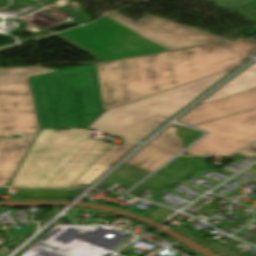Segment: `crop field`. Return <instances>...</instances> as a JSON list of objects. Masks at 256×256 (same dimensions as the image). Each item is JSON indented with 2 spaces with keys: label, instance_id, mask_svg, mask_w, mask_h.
I'll return each mask as SVG.
<instances>
[{
  "label": "crop field",
  "instance_id": "crop-field-1",
  "mask_svg": "<svg viewBox=\"0 0 256 256\" xmlns=\"http://www.w3.org/2000/svg\"><path fill=\"white\" fill-rule=\"evenodd\" d=\"M256 52L243 38L194 49L97 63L104 109L228 70Z\"/></svg>",
  "mask_w": 256,
  "mask_h": 256
},
{
  "label": "crop field",
  "instance_id": "crop-field-2",
  "mask_svg": "<svg viewBox=\"0 0 256 256\" xmlns=\"http://www.w3.org/2000/svg\"><path fill=\"white\" fill-rule=\"evenodd\" d=\"M90 134L41 130L9 186L68 188L111 146L86 139Z\"/></svg>",
  "mask_w": 256,
  "mask_h": 256
},
{
  "label": "crop field",
  "instance_id": "crop-field-3",
  "mask_svg": "<svg viewBox=\"0 0 256 256\" xmlns=\"http://www.w3.org/2000/svg\"><path fill=\"white\" fill-rule=\"evenodd\" d=\"M29 80L40 128L86 127L103 113L96 64Z\"/></svg>",
  "mask_w": 256,
  "mask_h": 256
},
{
  "label": "crop field",
  "instance_id": "crop-field-4",
  "mask_svg": "<svg viewBox=\"0 0 256 256\" xmlns=\"http://www.w3.org/2000/svg\"><path fill=\"white\" fill-rule=\"evenodd\" d=\"M57 70L42 67L0 69V185L7 184L39 129L28 77Z\"/></svg>",
  "mask_w": 256,
  "mask_h": 256
},
{
  "label": "crop field",
  "instance_id": "crop-field-5",
  "mask_svg": "<svg viewBox=\"0 0 256 256\" xmlns=\"http://www.w3.org/2000/svg\"><path fill=\"white\" fill-rule=\"evenodd\" d=\"M233 69L105 112L88 128L139 142Z\"/></svg>",
  "mask_w": 256,
  "mask_h": 256
},
{
  "label": "crop field",
  "instance_id": "crop-field-6",
  "mask_svg": "<svg viewBox=\"0 0 256 256\" xmlns=\"http://www.w3.org/2000/svg\"><path fill=\"white\" fill-rule=\"evenodd\" d=\"M101 61L166 51L108 17L56 34Z\"/></svg>",
  "mask_w": 256,
  "mask_h": 256
},
{
  "label": "crop field",
  "instance_id": "crop-field-7",
  "mask_svg": "<svg viewBox=\"0 0 256 256\" xmlns=\"http://www.w3.org/2000/svg\"><path fill=\"white\" fill-rule=\"evenodd\" d=\"M193 126L208 135L186 150L188 155L228 156L256 141V108Z\"/></svg>",
  "mask_w": 256,
  "mask_h": 256
},
{
  "label": "crop field",
  "instance_id": "crop-field-8",
  "mask_svg": "<svg viewBox=\"0 0 256 256\" xmlns=\"http://www.w3.org/2000/svg\"><path fill=\"white\" fill-rule=\"evenodd\" d=\"M107 16L168 50L229 41L150 14L137 23L117 12Z\"/></svg>",
  "mask_w": 256,
  "mask_h": 256
},
{
  "label": "crop field",
  "instance_id": "crop-field-9",
  "mask_svg": "<svg viewBox=\"0 0 256 256\" xmlns=\"http://www.w3.org/2000/svg\"><path fill=\"white\" fill-rule=\"evenodd\" d=\"M256 107V89L212 103L196 106L178 121L193 125Z\"/></svg>",
  "mask_w": 256,
  "mask_h": 256
},
{
  "label": "crop field",
  "instance_id": "crop-field-10",
  "mask_svg": "<svg viewBox=\"0 0 256 256\" xmlns=\"http://www.w3.org/2000/svg\"><path fill=\"white\" fill-rule=\"evenodd\" d=\"M256 88V62L235 76L199 104L219 100Z\"/></svg>",
  "mask_w": 256,
  "mask_h": 256
},
{
  "label": "crop field",
  "instance_id": "crop-field-11",
  "mask_svg": "<svg viewBox=\"0 0 256 256\" xmlns=\"http://www.w3.org/2000/svg\"><path fill=\"white\" fill-rule=\"evenodd\" d=\"M134 145L136 144L127 142H123L121 146L113 145L110 148L112 151L105 152L103 156L72 187L79 184L89 185L108 168L115 164L122 156H124Z\"/></svg>",
  "mask_w": 256,
  "mask_h": 256
},
{
  "label": "crop field",
  "instance_id": "crop-field-12",
  "mask_svg": "<svg viewBox=\"0 0 256 256\" xmlns=\"http://www.w3.org/2000/svg\"><path fill=\"white\" fill-rule=\"evenodd\" d=\"M172 156L169 153L147 145L126 161V163L152 172Z\"/></svg>",
  "mask_w": 256,
  "mask_h": 256
},
{
  "label": "crop field",
  "instance_id": "crop-field-13",
  "mask_svg": "<svg viewBox=\"0 0 256 256\" xmlns=\"http://www.w3.org/2000/svg\"><path fill=\"white\" fill-rule=\"evenodd\" d=\"M174 230L208 246L209 248L213 249L214 251H216L224 256H243L234 251L232 245L237 243L234 240H232L230 243H228L226 246H224V245L214 242L212 240L206 239V238H204L194 232H191L181 226L175 228Z\"/></svg>",
  "mask_w": 256,
  "mask_h": 256
},
{
  "label": "crop field",
  "instance_id": "crop-field-14",
  "mask_svg": "<svg viewBox=\"0 0 256 256\" xmlns=\"http://www.w3.org/2000/svg\"><path fill=\"white\" fill-rule=\"evenodd\" d=\"M190 170H192V166L189 164L187 157L178 156L155 175L174 181Z\"/></svg>",
  "mask_w": 256,
  "mask_h": 256
},
{
  "label": "crop field",
  "instance_id": "crop-field-15",
  "mask_svg": "<svg viewBox=\"0 0 256 256\" xmlns=\"http://www.w3.org/2000/svg\"><path fill=\"white\" fill-rule=\"evenodd\" d=\"M80 190H25L19 189L18 198H54L71 199Z\"/></svg>",
  "mask_w": 256,
  "mask_h": 256
},
{
  "label": "crop field",
  "instance_id": "crop-field-16",
  "mask_svg": "<svg viewBox=\"0 0 256 256\" xmlns=\"http://www.w3.org/2000/svg\"><path fill=\"white\" fill-rule=\"evenodd\" d=\"M174 133L175 129L172 132H170L165 138H163L159 143H157L156 146L163 148L167 151H170L174 154L183 150L181 147L180 140Z\"/></svg>",
  "mask_w": 256,
  "mask_h": 256
},
{
  "label": "crop field",
  "instance_id": "crop-field-17",
  "mask_svg": "<svg viewBox=\"0 0 256 256\" xmlns=\"http://www.w3.org/2000/svg\"><path fill=\"white\" fill-rule=\"evenodd\" d=\"M233 10L256 25V1ZM252 31L256 33V28Z\"/></svg>",
  "mask_w": 256,
  "mask_h": 256
},
{
  "label": "crop field",
  "instance_id": "crop-field-18",
  "mask_svg": "<svg viewBox=\"0 0 256 256\" xmlns=\"http://www.w3.org/2000/svg\"><path fill=\"white\" fill-rule=\"evenodd\" d=\"M226 11L236 8L238 6L250 3L255 0H211Z\"/></svg>",
  "mask_w": 256,
  "mask_h": 256
},
{
  "label": "crop field",
  "instance_id": "crop-field-19",
  "mask_svg": "<svg viewBox=\"0 0 256 256\" xmlns=\"http://www.w3.org/2000/svg\"><path fill=\"white\" fill-rule=\"evenodd\" d=\"M255 145V144H254ZM253 146V145H252ZM251 147V146H250ZM249 148V147H248ZM247 149V148H246ZM245 150V149H244ZM243 151V150H242ZM241 152V151H240ZM239 153V152H238ZM239 154H242L244 156H247V157H252V156H256V145L239 153Z\"/></svg>",
  "mask_w": 256,
  "mask_h": 256
}]
</instances>
